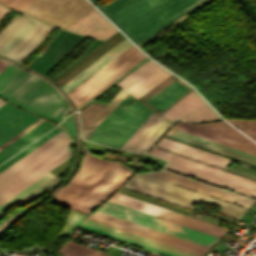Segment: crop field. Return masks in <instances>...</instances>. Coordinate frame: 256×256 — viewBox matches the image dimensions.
<instances>
[{
	"instance_id": "8a807250",
	"label": "crop field",
	"mask_w": 256,
	"mask_h": 256,
	"mask_svg": "<svg viewBox=\"0 0 256 256\" xmlns=\"http://www.w3.org/2000/svg\"><path fill=\"white\" fill-rule=\"evenodd\" d=\"M91 1L138 45L205 0Z\"/></svg>"
},
{
	"instance_id": "ac0d7876",
	"label": "crop field",
	"mask_w": 256,
	"mask_h": 256,
	"mask_svg": "<svg viewBox=\"0 0 256 256\" xmlns=\"http://www.w3.org/2000/svg\"><path fill=\"white\" fill-rule=\"evenodd\" d=\"M117 165L118 163L98 159L89 153L82 159L79 171L68 185L49 201L70 208ZM133 174L119 164L71 209L90 213Z\"/></svg>"
},
{
	"instance_id": "34b2d1b8",
	"label": "crop field",
	"mask_w": 256,
	"mask_h": 256,
	"mask_svg": "<svg viewBox=\"0 0 256 256\" xmlns=\"http://www.w3.org/2000/svg\"><path fill=\"white\" fill-rule=\"evenodd\" d=\"M72 139L63 130L0 173V204L71 156Z\"/></svg>"
},
{
	"instance_id": "412701ff",
	"label": "crop field",
	"mask_w": 256,
	"mask_h": 256,
	"mask_svg": "<svg viewBox=\"0 0 256 256\" xmlns=\"http://www.w3.org/2000/svg\"><path fill=\"white\" fill-rule=\"evenodd\" d=\"M9 101L60 122L71 111L62 95L37 76L22 70L1 92Z\"/></svg>"
},
{
	"instance_id": "f4fd0767",
	"label": "crop field",
	"mask_w": 256,
	"mask_h": 256,
	"mask_svg": "<svg viewBox=\"0 0 256 256\" xmlns=\"http://www.w3.org/2000/svg\"><path fill=\"white\" fill-rule=\"evenodd\" d=\"M133 99L134 98L127 94L91 133L87 140L120 148L153 112ZM131 101L132 103L126 108ZM125 108L126 110L123 112Z\"/></svg>"
},
{
	"instance_id": "dd49c442",
	"label": "crop field",
	"mask_w": 256,
	"mask_h": 256,
	"mask_svg": "<svg viewBox=\"0 0 256 256\" xmlns=\"http://www.w3.org/2000/svg\"><path fill=\"white\" fill-rule=\"evenodd\" d=\"M124 188L158 198L188 209L195 207L187 204L206 202L221 206L219 213L237 218L246 208L218 200L170 183H166L142 174L135 176Z\"/></svg>"
},
{
	"instance_id": "e52e79f7",
	"label": "crop field",
	"mask_w": 256,
	"mask_h": 256,
	"mask_svg": "<svg viewBox=\"0 0 256 256\" xmlns=\"http://www.w3.org/2000/svg\"><path fill=\"white\" fill-rule=\"evenodd\" d=\"M149 154L170 160L166 169L256 198V182L153 147Z\"/></svg>"
},
{
	"instance_id": "d8731c3e",
	"label": "crop field",
	"mask_w": 256,
	"mask_h": 256,
	"mask_svg": "<svg viewBox=\"0 0 256 256\" xmlns=\"http://www.w3.org/2000/svg\"><path fill=\"white\" fill-rule=\"evenodd\" d=\"M93 8L87 0H36L21 13L66 29Z\"/></svg>"
},
{
	"instance_id": "5a996713",
	"label": "crop field",
	"mask_w": 256,
	"mask_h": 256,
	"mask_svg": "<svg viewBox=\"0 0 256 256\" xmlns=\"http://www.w3.org/2000/svg\"><path fill=\"white\" fill-rule=\"evenodd\" d=\"M141 56L143 54L132 45L67 95L75 105L79 104Z\"/></svg>"
},
{
	"instance_id": "3316defc",
	"label": "crop field",
	"mask_w": 256,
	"mask_h": 256,
	"mask_svg": "<svg viewBox=\"0 0 256 256\" xmlns=\"http://www.w3.org/2000/svg\"><path fill=\"white\" fill-rule=\"evenodd\" d=\"M173 128L256 154V144L226 122L199 125L182 122Z\"/></svg>"
},
{
	"instance_id": "28ad6ade",
	"label": "crop field",
	"mask_w": 256,
	"mask_h": 256,
	"mask_svg": "<svg viewBox=\"0 0 256 256\" xmlns=\"http://www.w3.org/2000/svg\"><path fill=\"white\" fill-rule=\"evenodd\" d=\"M109 201L163 218L165 220L218 237L225 231L220 227L169 211L167 209L117 193Z\"/></svg>"
},
{
	"instance_id": "d1516ede",
	"label": "crop field",
	"mask_w": 256,
	"mask_h": 256,
	"mask_svg": "<svg viewBox=\"0 0 256 256\" xmlns=\"http://www.w3.org/2000/svg\"><path fill=\"white\" fill-rule=\"evenodd\" d=\"M53 29L30 18L0 49V54L20 62Z\"/></svg>"
},
{
	"instance_id": "22f410ed",
	"label": "crop field",
	"mask_w": 256,
	"mask_h": 256,
	"mask_svg": "<svg viewBox=\"0 0 256 256\" xmlns=\"http://www.w3.org/2000/svg\"><path fill=\"white\" fill-rule=\"evenodd\" d=\"M93 215V214H92ZM88 219L112 226V227H116L170 246H174L195 254L200 255L205 249L206 247L101 213L96 211V213L89 217Z\"/></svg>"
},
{
	"instance_id": "cbeb9de0",
	"label": "crop field",
	"mask_w": 256,
	"mask_h": 256,
	"mask_svg": "<svg viewBox=\"0 0 256 256\" xmlns=\"http://www.w3.org/2000/svg\"><path fill=\"white\" fill-rule=\"evenodd\" d=\"M84 39L85 37L60 29L56 37L28 66L45 75Z\"/></svg>"
},
{
	"instance_id": "5142ce71",
	"label": "crop field",
	"mask_w": 256,
	"mask_h": 256,
	"mask_svg": "<svg viewBox=\"0 0 256 256\" xmlns=\"http://www.w3.org/2000/svg\"><path fill=\"white\" fill-rule=\"evenodd\" d=\"M161 116L170 122L180 119L192 122L221 119L194 90Z\"/></svg>"
},
{
	"instance_id": "d9b57169",
	"label": "crop field",
	"mask_w": 256,
	"mask_h": 256,
	"mask_svg": "<svg viewBox=\"0 0 256 256\" xmlns=\"http://www.w3.org/2000/svg\"><path fill=\"white\" fill-rule=\"evenodd\" d=\"M169 73L155 62L148 60L117 85L138 98L171 75Z\"/></svg>"
},
{
	"instance_id": "733c2abd",
	"label": "crop field",
	"mask_w": 256,
	"mask_h": 256,
	"mask_svg": "<svg viewBox=\"0 0 256 256\" xmlns=\"http://www.w3.org/2000/svg\"><path fill=\"white\" fill-rule=\"evenodd\" d=\"M146 175L179 185L183 186L243 207L248 208L252 205L255 201L166 172V171H159V172H152V173H145Z\"/></svg>"
},
{
	"instance_id": "4a817a6b",
	"label": "crop field",
	"mask_w": 256,
	"mask_h": 256,
	"mask_svg": "<svg viewBox=\"0 0 256 256\" xmlns=\"http://www.w3.org/2000/svg\"><path fill=\"white\" fill-rule=\"evenodd\" d=\"M169 125L170 123L153 112L121 149L145 152Z\"/></svg>"
},
{
	"instance_id": "bc2a9ffb",
	"label": "crop field",
	"mask_w": 256,
	"mask_h": 256,
	"mask_svg": "<svg viewBox=\"0 0 256 256\" xmlns=\"http://www.w3.org/2000/svg\"><path fill=\"white\" fill-rule=\"evenodd\" d=\"M39 118L22 112L9 104L0 107V145L30 126Z\"/></svg>"
},
{
	"instance_id": "214f88e0",
	"label": "crop field",
	"mask_w": 256,
	"mask_h": 256,
	"mask_svg": "<svg viewBox=\"0 0 256 256\" xmlns=\"http://www.w3.org/2000/svg\"><path fill=\"white\" fill-rule=\"evenodd\" d=\"M166 136L193 144L195 146L252 164L256 166V156L225 146L221 145L176 129L171 128L169 132L166 134Z\"/></svg>"
},
{
	"instance_id": "92a150f3",
	"label": "crop field",
	"mask_w": 256,
	"mask_h": 256,
	"mask_svg": "<svg viewBox=\"0 0 256 256\" xmlns=\"http://www.w3.org/2000/svg\"><path fill=\"white\" fill-rule=\"evenodd\" d=\"M67 30L104 40L117 29L94 8Z\"/></svg>"
},
{
	"instance_id": "dafd665d",
	"label": "crop field",
	"mask_w": 256,
	"mask_h": 256,
	"mask_svg": "<svg viewBox=\"0 0 256 256\" xmlns=\"http://www.w3.org/2000/svg\"><path fill=\"white\" fill-rule=\"evenodd\" d=\"M156 147L179 153L225 169L230 159L163 137Z\"/></svg>"
},
{
	"instance_id": "00972430",
	"label": "crop field",
	"mask_w": 256,
	"mask_h": 256,
	"mask_svg": "<svg viewBox=\"0 0 256 256\" xmlns=\"http://www.w3.org/2000/svg\"><path fill=\"white\" fill-rule=\"evenodd\" d=\"M61 179L54 176L53 174L47 172L42 177L28 185L26 188L9 198L7 201L2 203L0 205V214H2L3 211L11 207L15 203L19 204H26L36 198H38L40 195H42L45 191L52 188L56 184L60 183Z\"/></svg>"
},
{
	"instance_id": "a9b5d70f",
	"label": "crop field",
	"mask_w": 256,
	"mask_h": 256,
	"mask_svg": "<svg viewBox=\"0 0 256 256\" xmlns=\"http://www.w3.org/2000/svg\"><path fill=\"white\" fill-rule=\"evenodd\" d=\"M124 38L125 37L118 31L116 34H114L103 44H101L99 47H97L95 50H93L91 53H89L87 56H85L83 59H81L53 81L61 87L94 61H96L98 58H100L103 54L117 45Z\"/></svg>"
},
{
	"instance_id": "4177f3b9",
	"label": "crop field",
	"mask_w": 256,
	"mask_h": 256,
	"mask_svg": "<svg viewBox=\"0 0 256 256\" xmlns=\"http://www.w3.org/2000/svg\"><path fill=\"white\" fill-rule=\"evenodd\" d=\"M178 79L145 104H147L160 115L171 106H173L181 98H183L190 91H192V89L188 85L181 82L182 80L180 81Z\"/></svg>"
},
{
	"instance_id": "730fd06b",
	"label": "crop field",
	"mask_w": 256,
	"mask_h": 256,
	"mask_svg": "<svg viewBox=\"0 0 256 256\" xmlns=\"http://www.w3.org/2000/svg\"><path fill=\"white\" fill-rule=\"evenodd\" d=\"M55 124L46 120L39 123L37 126L29 130L27 133L16 139L14 142L6 146L0 151V163L15 154L17 151L28 145L30 142L38 138L40 135L48 131Z\"/></svg>"
},
{
	"instance_id": "eef30255",
	"label": "crop field",
	"mask_w": 256,
	"mask_h": 256,
	"mask_svg": "<svg viewBox=\"0 0 256 256\" xmlns=\"http://www.w3.org/2000/svg\"><path fill=\"white\" fill-rule=\"evenodd\" d=\"M82 223H85V224H88V225H91V226H94V227H97V228H100V229H103L106 231H110V232L131 238V239H134V240H137V241H140V242H143V243H146V244H149V245H152V246L164 249V250H168V251H171V252L183 255V256H197V255H194V254H191V253H188V252H185V251H182V250H179V249L146 239V238H142V237H139V236H136V235H133V234H130V233H127V232H124V231H121V230H118V229H115V228H112V227H109V226H106V225H103V224H100V223H97V222H94L91 220H88V219H84L82 221Z\"/></svg>"
},
{
	"instance_id": "ae1a2a85",
	"label": "crop field",
	"mask_w": 256,
	"mask_h": 256,
	"mask_svg": "<svg viewBox=\"0 0 256 256\" xmlns=\"http://www.w3.org/2000/svg\"><path fill=\"white\" fill-rule=\"evenodd\" d=\"M61 130H63V129L60 128L59 126L54 128L53 130H51L49 133H47L46 135H44L43 137L38 139L36 142H34L30 146H28L26 149H24L23 151H21L20 153L15 155L13 158H11L10 160H8L4 164H2L0 166V172L3 171L4 169H6L7 167H9L10 165H12L13 163H15L17 160H19L20 158H22L23 156H25L26 154H28L32 150H34L36 147H38L39 145H41L42 143H44L45 141H47L51 137H53L55 134H57Z\"/></svg>"
},
{
	"instance_id": "d3111659",
	"label": "crop field",
	"mask_w": 256,
	"mask_h": 256,
	"mask_svg": "<svg viewBox=\"0 0 256 256\" xmlns=\"http://www.w3.org/2000/svg\"><path fill=\"white\" fill-rule=\"evenodd\" d=\"M124 91H120L110 104L96 117V119L82 132L83 139H86L90 133L101 123V121L111 112V110L122 100L126 95Z\"/></svg>"
},
{
	"instance_id": "750c4746",
	"label": "crop field",
	"mask_w": 256,
	"mask_h": 256,
	"mask_svg": "<svg viewBox=\"0 0 256 256\" xmlns=\"http://www.w3.org/2000/svg\"><path fill=\"white\" fill-rule=\"evenodd\" d=\"M28 19V17L18 14L13 18V20L0 32V48Z\"/></svg>"
},
{
	"instance_id": "bd1437ed",
	"label": "crop field",
	"mask_w": 256,
	"mask_h": 256,
	"mask_svg": "<svg viewBox=\"0 0 256 256\" xmlns=\"http://www.w3.org/2000/svg\"><path fill=\"white\" fill-rule=\"evenodd\" d=\"M108 104L93 102L87 108L79 113L82 123V131L95 119V117L107 106Z\"/></svg>"
},
{
	"instance_id": "1d83c4d3",
	"label": "crop field",
	"mask_w": 256,
	"mask_h": 256,
	"mask_svg": "<svg viewBox=\"0 0 256 256\" xmlns=\"http://www.w3.org/2000/svg\"><path fill=\"white\" fill-rule=\"evenodd\" d=\"M256 141V120L227 119ZM232 124V125H233ZM236 127V128H237Z\"/></svg>"
},
{
	"instance_id": "120bbe31",
	"label": "crop field",
	"mask_w": 256,
	"mask_h": 256,
	"mask_svg": "<svg viewBox=\"0 0 256 256\" xmlns=\"http://www.w3.org/2000/svg\"><path fill=\"white\" fill-rule=\"evenodd\" d=\"M21 71V69L9 64L0 73V91Z\"/></svg>"
},
{
	"instance_id": "d32e631a",
	"label": "crop field",
	"mask_w": 256,
	"mask_h": 256,
	"mask_svg": "<svg viewBox=\"0 0 256 256\" xmlns=\"http://www.w3.org/2000/svg\"><path fill=\"white\" fill-rule=\"evenodd\" d=\"M172 75L169 76L167 79H165L163 82H161L159 85L154 87L152 90H150L148 93H146L144 96H142L138 100H140V101H142L144 103L146 101H148L150 98H152L154 95H156L158 92H160L162 89H164L166 86H168L170 83H172L174 80L177 79L176 77H174Z\"/></svg>"
},
{
	"instance_id": "5866460e",
	"label": "crop field",
	"mask_w": 256,
	"mask_h": 256,
	"mask_svg": "<svg viewBox=\"0 0 256 256\" xmlns=\"http://www.w3.org/2000/svg\"><path fill=\"white\" fill-rule=\"evenodd\" d=\"M34 0H0L1 3L4 5L20 12L25 7H27L30 3H32Z\"/></svg>"
},
{
	"instance_id": "028f5c9d",
	"label": "crop field",
	"mask_w": 256,
	"mask_h": 256,
	"mask_svg": "<svg viewBox=\"0 0 256 256\" xmlns=\"http://www.w3.org/2000/svg\"><path fill=\"white\" fill-rule=\"evenodd\" d=\"M64 246H67V247H71V248H74V249H77V250H80L82 252H85L87 254H90V255H93V256H109V255H106V254H103V253H100L98 251H95V250H92L90 248H87V247H84L82 245H79L77 243H74L70 240H68Z\"/></svg>"
},
{
	"instance_id": "e1f06a70",
	"label": "crop field",
	"mask_w": 256,
	"mask_h": 256,
	"mask_svg": "<svg viewBox=\"0 0 256 256\" xmlns=\"http://www.w3.org/2000/svg\"><path fill=\"white\" fill-rule=\"evenodd\" d=\"M146 56L144 55L139 60H137L135 63H133L131 66H129L127 69H125L123 72H121L119 75H117L115 78H113L111 81H109L107 84H105L103 87H101L99 90H97L95 93H93L91 96H89L87 99H85L83 102H81L79 105H77V109L81 107L83 104H85L87 101H89L92 97H94L96 94H98L100 91H102L105 87H107L109 84H111L113 81H115L117 78H119L122 74H124L126 71H128L130 68H132L135 64H137L139 61H141Z\"/></svg>"
},
{
	"instance_id": "0bd39190",
	"label": "crop field",
	"mask_w": 256,
	"mask_h": 256,
	"mask_svg": "<svg viewBox=\"0 0 256 256\" xmlns=\"http://www.w3.org/2000/svg\"><path fill=\"white\" fill-rule=\"evenodd\" d=\"M58 252L65 254L64 256H90L87 255L85 253H82L80 251L74 250V249H70L67 247L62 246Z\"/></svg>"
},
{
	"instance_id": "b80d0937",
	"label": "crop field",
	"mask_w": 256,
	"mask_h": 256,
	"mask_svg": "<svg viewBox=\"0 0 256 256\" xmlns=\"http://www.w3.org/2000/svg\"><path fill=\"white\" fill-rule=\"evenodd\" d=\"M101 43H102V41L95 40L94 43L89 47V49L84 54H82L78 59H76L72 64H70L66 69H68L70 66H72L74 63H76L78 60H80L82 57H84L86 54H88L90 51H92L94 48H96ZM66 69H64L62 72H64ZM62 72H60L58 75H60ZM58 75H56L54 78H56ZM54 78H52V80Z\"/></svg>"
},
{
	"instance_id": "c035e120",
	"label": "crop field",
	"mask_w": 256,
	"mask_h": 256,
	"mask_svg": "<svg viewBox=\"0 0 256 256\" xmlns=\"http://www.w3.org/2000/svg\"><path fill=\"white\" fill-rule=\"evenodd\" d=\"M42 119L38 120L37 122H35L34 124H32L30 127H28L27 129H25L24 131H22L21 133H19L18 135H16L14 138H12L11 140H9L8 142H6L5 144H3L2 146H0V149H2L3 147H5L6 145H8L10 142H12L13 140H15L16 138H18L19 136H21L23 133H25L26 131H28L29 129H31L32 127H34L35 125H37L39 122H41Z\"/></svg>"
},
{
	"instance_id": "c21b1889",
	"label": "crop field",
	"mask_w": 256,
	"mask_h": 256,
	"mask_svg": "<svg viewBox=\"0 0 256 256\" xmlns=\"http://www.w3.org/2000/svg\"><path fill=\"white\" fill-rule=\"evenodd\" d=\"M10 10L4 8L2 5H0V20L9 12Z\"/></svg>"
},
{
	"instance_id": "03da06ac",
	"label": "crop field",
	"mask_w": 256,
	"mask_h": 256,
	"mask_svg": "<svg viewBox=\"0 0 256 256\" xmlns=\"http://www.w3.org/2000/svg\"><path fill=\"white\" fill-rule=\"evenodd\" d=\"M224 238H226L228 240H231V241H233L235 243H237V241H238V238L230 236V235H227V234L224 235Z\"/></svg>"
},
{
	"instance_id": "b54c1fbb",
	"label": "crop field",
	"mask_w": 256,
	"mask_h": 256,
	"mask_svg": "<svg viewBox=\"0 0 256 256\" xmlns=\"http://www.w3.org/2000/svg\"><path fill=\"white\" fill-rule=\"evenodd\" d=\"M7 65V63L0 61V71Z\"/></svg>"
},
{
	"instance_id": "5d738f31",
	"label": "crop field",
	"mask_w": 256,
	"mask_h": 256,
	"mask_svg": "<svg viewBox=\"0 0 256 256\" xmlns=\"http://www.w3.org/2000/svg\"><path fill=\"white\" fill-rule=\"evenodd\" d=\"M4 103H6V102L0 100V106L3 105Z\"/></svg>"
}]
</instances>
